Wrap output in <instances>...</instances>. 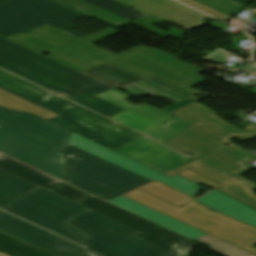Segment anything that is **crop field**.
Listing matches in <instances>:
<instances>
[{
	"instance_id": "44",
	"label": "crop field",
	"mask_w": 256,
	"mask_h": 256,
	"mask_svg": "<svg viewBox=\"0 0 256 256\" xmlns=\"http://www.w3.org/2000/svg\"><path fill=\"white\" fill-rule=\"evenodd\" d=\"M255 16H256V12H255V14H254Z\"/></svg>"
},
{
	"instance_id": "34",
	"label": "crop field",
	"mask_w": 256,
	"mask_h": 256,
	"mask_svg": "<svg viewBox=\"0 0 256 256\" xmlns=\"http://www.w3.org/2000/svg\"><path fill=\"white\" fill-rule=\"evenodd\" d=\"M0 240L5 242V243H8L12 246H15V247H17L21 250H24V251H26V252L34 255V256H55L53 254H50L46 251H43V250L37 248V247L29 246V245L11 237V236H8V235H6L2 232H0Z\"/></svg>"
},
{
	"instance_id": "40",
	"label": "crop field",
	"mask_w": 256,
	"mask_h": 256,
	"mask_svg": "<svg viewBox=\"0 0 256 256\" xmlns=\"http://www.w3.org/2000/svg\"><path fill=\"white\" fill-rule=\"evenodd\" d=\"M254 125L250 124L249 126H247L244 131H248V132H254L256 133V127H253Z\"/></svg>"
},
{
	"instance_id": "32",
	"label": "crop field",
	"mask_w": 256,
	"mask_h": 256,
	"mask_svg": "<svg viewBox=\"0 0 256 256\" xmlns=\"http://www.w3.org/2000/svg\"><path fill=\"white\" fill-rule=\"evenodd\" d=\"M226 15L244 7L245 5L234 0H195Z\"/></svg>"
},
{
	"instance_id": "4",
	"label": "crop field",
	"mask_w": 256,
	"mask_h": 256,
	"mask_svg": "<svg viewBox=\"0 0 256 256\" xmlns=\"http://www.w3.org/2000/svg\"><path fill=\"white\" fill-rule=\"evenodd\" d=\"M0 152L65 181L67 131L36 116L0 108Z\"/></svg>"
},
{
	"instance_id": "12",
	"label": "crop field",
	"mask_w": 256,
	"mask_h": 256,
	"mask_svg": "<svg viewBox=\"0 0 256 256\" xmlns=\"http://www.w3.org/2000/svg\"><path fill=\"white\" fill-rule=\"evenodd\" d=\"M85 74L133 95H154L167 99L174 103L173 105L163 109L168 112L174 111L198 100L193 96L175 89L161 81L153 78L143 80L109 64L103 65Z\"/></svg>"
},
{
	"instance_id": "8",
	"label": "crop field",
	"mask_w": 256,
	"mask_h": 256,
	"mask_svg": "<svg viewBox=\"0 0 256 256\" xmlns=\"http://www.w3.org/2000/svg\"><path fill=\"white\" fill-rule=\"evenodd\" d=\"M70 224L86 234L85 248L103 256H174L134 238L137 231L91 210Z\"/></svg>"
},
{
	"instance_id": "26",
	"label": "crop field",
	"mask_w": 256,
	"mask_h": 256,
	"mask_svg": "<svg viewBox=\"0 0 256 256\" xmlns=\"http://www.w3.org/2000/svg\"><path fill=\"white\" fill-rule=\"evenodd\" d=\"M190 157H187L173 149H170L142 164L166 174L184 164Z\"/></svg>"
},
{
	"instance_id": "17",
	"label": "crop field",
	"mask_w": 256,
	"mask_h": 256,
	"mask_svg": "<svg viewBox=\"0 0 256 256\" xmlns=\"http://www.w3.org/2000/svg\"><path fill=\"white\" fill-rule=\"evenodd\" d=\"M196 201L247 224L256 226V211L215 190Z\"/></svg>"
},
{
	"instance_id": "41",
	"label": "crop field",
	"mask_w": 256,
	"mask_h": 256,
	"mask_svg": "<svg viewBox=\"0 0 256 256\" xmlns=\"http://www.w3.org/2000/svg\"><path fill=\"white\" fill-rule=\"evenodd\" d=\"M83 250L88 254V256H101V255H99V254H97L95 252L89 251L87 249L83 248Z\"/></svg>"
},
{
	"instance_id": "15",
	"label": "crop field",
	"mask_w": 256,
	"mask_h": 256,
	"mask_svg": "<svg viewBox=\"0 0 256 256\" xmlns=\"http://www.w3.org/2000/svg\"><path fill=\"white\" fill-rule=\"evenodd\" d=\"M161 21L174 22L188 30L207 24L209 17L171 0H116Z\"/></svg>"
},
{
	"instance_id": "22",
	"label": "crop field",
	"mask_w": 256,
	"mask_h": 256,
	"mask_svg": "<svg viewBox=\"0 0 256 256\" xmlns=\"http://www.w3.org/2000/svg\"><path fill=\"white\" fill-rule=\"evenodd\" d=\"M67 8H73L75 12L85 15L86 17H93L112 26L120 28L130 22L119 18L109 12H106L98 7H95L82 0H53Z\"/></svg>"
},
{
	"instance_id": "19",
	"label": "crop field",
	"mask_w": 256,
	"mask_h": 256,
	"mask_svg": "<svg viewBox=\"0 0 256 256\" xmlns=\"http://www.w3.org/2000/svg\"><path fill=\"white\" fill-rule=\"evenodd\" d=\"M127 96L128 95H126L122 92H119L116 89L111 92L98 95V97H100L102 99H105L109 102L119 105V106H121L137 115H140L146 119H149L157 124H159L166 118L172 116L171 114H168L162 110H159V109L149 106L147 104L133 105V104L125 101L126 99L129 98Z\"/></svg>"
},
{
	"instance_id": "30",
	"label": "crop field",
	"mask_w": 256,
	"mask_h": 256,
	"mask_svg": "<svg viewBox=\"0 0 256 256\" xmlns=\"http://www.w3.org/2000/svg\"><path fill=\"white\" fill-rule=\"evenodd\" d=\"M187 168H191V169H193V170H195V171H197V172H199V173H201V174H203V175H205V176H207V177H209L213 180H216V181H218L222 184H224V183L233 179L229 176H226V175H224V174H222V173H220L216 170H213V169L199 163L197 160H195L191 163H188V164H186V165H184V166H182V167H180V168H178V169H176V170H174V171H172V172H170L166 175L171 177L174 174H176V173H178L182 170H185Z\"/></svg>"
},
{
	"instance_id": "21",
	"label": "crop field",
	"mask_w": 256,
	"mask_h": 256,
	"mask_svg": "<svg viewBox=\"0 0 256 256\" xmlns=\"http://www.w3.org/2000/svg\"><path fill=\"white\" fill-rule=\"evenodd\" d=\"M168 149L170 148L142 136L135 141L129 143L128 145L122 147L121 149L117 150V152L139 163H142Z\"/></svg>"
},
{
	"instance_id": "5",
	"label": "crop field",
	"mask_w": 256,
	"mask_h": 256,
	"mask_svg": "<svg viewBox=\"0 0 256 256\" xmlns=\"http://www.w3.org/2000/svg\"><path fill=\"white\" fill-rule=\"evenodd\" d=\"M0 87L61 116L49 121L63 126L111 150H117L141 135L92 113L42 88L0 70ZM111 122L114 126H108Z\"/></svg>"
},
{
	"instance_id": "37",
	"label": "crop field",
	"mask_w": 256,
	"mask_h": 256,
	"mask_svg": "<svg viewBox=\"0 0 256 256\" xmlns=\"http://www.w3.org/2000/svg\"><path fill=\"white\" fill-rule=\"evenodd\" d=\"M180 1L186 3V4L190 5V6H193V7L197 8V9H200V10H202V11H204V12H206V13L214 16V17L222 19L224 21H226V20L231 18V17L226 16V15L220 13V12H217V11L211 9V8H208V7H206V6L202 5V4H199V3H197V2H195L193 0H180Z\"/></svg>"
},
{
	"instance_id": "3",
	"label": "crop field",
	"mask_w": 256,
	"mask_h": 256,
	"mask_svg": "<svg viewBox=\"0 0 256 256\" xmlns=\"http://www.w3.org/2000/svg\"><path fill=\"white\" fill-rule=\"evenodd\" d=\"M0 67L107 117L125 110L95 96L114 88L2 38Z\"/></svg>"
},
{
	"instance_id": "13",
	"label": "crop field",
	"mask_w": 256,
	"mask_h": 256,
	"mask_svg": "<svg viewBox=\"0 0 256 256\" xmlns=\"http://www.w3.org/2000/svg\"><path fill=\"white\" fill-rule=\"evenodd\" d=\"M69 143L73 144L74 146L96 156L103 160H106L110 163H113L117 166H120L124 169H127L131 172L139 174L143 177H146L150 180L159 179L173 187H176L190 195L198 192L196 191L198 187L209 191L208 189L195 184L179 175H174L173 177L169 178L155 170H152L142 164L134 162L116 152H113L101 145H98L86 138H83L73 132H70Z\"/></svg>"
},
{
	"instance_id": "31",
	"label": "crop field",
	"mask_w": 256,
	"mask_h": 256,
	"mask_svg": "<svg viewBox=\"0 0 256 256\" xmlns=\"http://www.w3.org/2000/svg\"><path fill=\"white\" fill-rule=\"evenodd\" d=\"M199 241L213 247L212 249L225 255V256H254L250 253L237 249L215 237L207 235L198 239Z\"/></svg>"
},
{
	"instance_id": "9",
	"label": "crop field",
	"mask_w": 256,
	"mask_h": 256,
	"mask_svg": "<svg viewBox=\"0 0 256 256\" xmlns=\"http://www.w3.org/2000/svg\"><path fill=\"white\" fill-rule=\"evenodd\" d=\"M4 210L80 245L84 239L80 231L66 223L87 209L41 187L14 201Z\"/></svg>"
},
{
	"instance_id": "39",
	"label": "crop field",
	"mask_w": 256,
	"mask_h": 256,
	"mask_svg": "<svg viewBox=\"0 0 256 256\" xmlns=\"http://www.w3.org/2000/svg\"><path fill=\"white\" fill-rule=\"evenodd\" d=\"M240 69L256 71V67L252 63H249V62H247L246 66H241Z\"/></svg>"
},
{
	"instance_id": "29",
	"label": "crop field",
	"mask_w": 256,
	"mask_h": 256,
	"mask_svg": "<svg viewBox=\"0 0 256 256\" xmlns=\"http://www.w3.org/2000/svg\"><path fill=\"white\" fill-rule=\"evenodd\" d=\"M111 119L142 133L157 125L129 111H125Z\"/></svg>"
},
{
	"instance_id": "38",
	"label": "crop field",
	"mask_w": 256,
	"mask_h": 256,
	"mask_svg": "<svg viewBox=\"0 0 256 256\" xmlns=\"http://www.w3.org/2000/svg\"><path fill=\"white\" fill-rule=\"evenodd\" d=\"M0 252H4L10 256H32L24 251H21L1 241H0Z\"/></svg>"
},
{
	"instance_id": "16",
	"label": "crop field",
	"mask_w": 256,
	"mask_h": 256,
	"mask_svg": "<svg viewBox=\"0 0 256 256\" xmlns=\"http://www.w3.org/2000/svg\"><path fill=\"white\" fill-rule=\"evenodd\" d=\"M108 202L120 206L126 210H129L139 216H142L148 220H151L159 225H162L168 229H171L179 234H182L188 238L198 239L207 234L185 224L171 217H168L158 211L150 209L146 206L133 202L124 197H117Z\"/></svg>"
},
{
	"instance_id": "25",
	"label": "crop field",
	"mask_w": 256,
	"mask_h": 256,
	"mask_svg": "<svg viewBox=\"0 0 256 256\" xmlns=\"http://www.w3.org/2000/svg\"><path fill=\"white\" fill-rule=\"evenodd\" d=\"M256 189V185L241 177L218 190L254 209H256V195L252 192Z\"/></svg>"
},
{
	"instance_id": "1",
	"label": "crop field",
	"mask_w": 256,
	"mask_h": 256,
	"mask_svg": "<svg viewBox=\"0 0 256 256\" xmlns=\"http://www.w3.org/2000/svg\"><path fill=\"white\" fill-rule=\"evenodd\" d=\"M120 33L111 28L79 40L49 25L7 38L32 51L51 52L47 56L80 72L110 62L143 78L154 76L192 95L200 92L190 88L206 81L197 74L203 72L168 54L151 48H137L118 56L92 44Z\"/></svg>"
},
{
	"instance_id": "7",
	"label": "crop field",
	"mask_w": 256,
	"mask_h": 256,
	"mask_svg": "<svg viewBox=\"0 0 256 256\" xmlns=\"http://www.w3.org/2000/svg\"><path fill=\"white\" fill-rule=\"evenodd\" d=\"M68 182L105 200L115 198L141 185L152 182L127 170L119 168L73 146H66ZM76 155L81 159L69 158Z\"/></svg>"
},
{
	"instance_id": "35",
	"label": "crop field",
	"mask_w": 256,
	"mask_h": 256,
	"mask_svg": "<svg viewBox=\"0 0 256 256\" xmlns=\"http://www.w3.org/2000/svg\"><path fill=\"white\" fill-rule=\"evenodd\" d=\"M53 192L76 203V204H78L81 200H83L86 197V195H84L66 185L60 187L59 189H57Z\"/></svg>"
},
{
	"instance_id": "11",
	"label": "crop field",
	"mask_w": 256,
	"mask_h": 256,
	"mask_svg": "<svg viewBox=\"0 0 256 256\" xmlns=\"http://www.w3.org/2000/svg\"><path fill=\"white\" fill-rule=\"evenodd\" d=\"M82 205L139 231L140 233L134 237L176 256H188V252L193 247L199 245L192 240L175 234L131 212L114 207L96 197L91 196Z\"/></svg>"
},
{
	"instance_id": "18",
	"label": "crop field",
	"mask_w": 256,
	"mask_h": 256,
	"mask_svg": "<svg viewBox=\"0 0 256 256\" xmlns=\"http://www.w3.org/2000/svg\"><path fill=\"white\" fill-rule=\"evenodd\" d=\"M0 167L48 190L63 184L2 154H0Z\"/></svg>"
},
{
	"instance_id": "42",
	"label": "crop field",
	"mask_w": 256,
	"mask_h": 256,
	"mask_svg": "<svg viewBox=\"0 0 256 256\" xmlns=\"http://www.w3.org/2000/svg\"><path fill=\"white\" fill-rule=\"evenodd\" d=\"M0 256H8V255H6V254H4V253H0Z\"/></svg>"
},
{
	"instance_id": "10",
	"label": "crop field",
	"mask_w": 256,
	"mask_h": 256,
	"mask_svg": "<svg viewBox=\"0 0 256 256\" xmlns=\"http://www.w3.org/2000/svg\"><path fill=\"white\" fill-rule=\"evenodd\" d=\"M81 16L50 0H10L0 5V36L7 38L49 24L82 39L86 36L68 24Z\"/></svg>"
},
{
	"instance_id": "43",
	"label": "crop field",
	"mask_w": 256,
	"mask_h": 256,
	"mask_svg": "<svg viewBox=\"0 0 256 256\" xmlns=\"http://www.w3.org/2000/svg\"><path fill=\"white\" fill-rule=\"evenodd\" d=\"M5 1H7V0H0V3L5 2Z\"/></svg>"
},
{
	"instance_id": "33",
	"label": "crop field",
	"mask_w": 256,
	"mask_h": 256,
	"mask_svg": "<svg viewBox=\"0 0 256 256\" xmlns=\"http://www.w3.org/2000/svg\"><path fill=\"white\" fill-rule=\"evenodd\" d=\"M138 21L141 22V24L138 23L137 21L134 22V23H132V24L136 25L135 23H138V24H140V25H139V26L136 25V26H138V27H140V28H142V29H144V30H147V31H149V32H151V33H153V34L159 36V37L163 36L162 33H160V32H164V31H162V30H160V29H158V28H156V27H154V26H151V23H157V24H159V23H161V21H159V20H157V19H154V18H152V17H150V16H146V17H144V18H142V19H140V20H138ZM145 24L147 25V26H145V27H147V28H149V29H151V30H153V31H156V32L154 33V32H152V31H150V30L144 28V25H145ZM178 31L181 32V33H178ZM164 33L169 34V35H172V36H174V37H176V38L182 40L183 31H181V30H179V29H176V28H174V27H172L170 30H168V31H166V32H164Z\"/></svg>"
},
{
	"instance_id": "20",
	"label": "crop field",
	"mask_w": 256,
	"mask_h": 256,
	"mask_svg": "<svg viewBox=\"0 0 256 256\" xmlns=\"http://www.w3.org/2000/svg\"><path fill=\"white\" fill-rule=\"evenodd\" d=\"M36 186L0 168V208Z\"/></svg>"
},
{
	"instance_id": "36",
	"label": "crop field",
	"mask_w": 256,
	"mask_h": 256,
	"mask_svg": "<svg viewBox=\"0 0 256 256\" xmlns=\"http://www.w3.org/2000/svg\"><path fill=\"white\" fill-rule=\"evenodd\" d=\"M178 174H180V175H182V176H184V177H186V178H188V179H190V180H192L196 183L202 182V183L207 184L209 186H212L214 188H216L220 185V184H218V183H216V182H214V181H212V180H210V179H208V178H206V177H204V176H202V175H200V174H198V173H196V172H194L190 169H187V170H185L183 172H180Z\"/></svg>"
},
{
	"instance_id": "14",
	"label": "crop field",
	"mask_w": 256,
	"mask_h": 256,
	"mask_svg": "<svg viewBox=\"0 0 256 256\" xmlns=\"http://www.w3.org/2000/svg\"><path fill=\"white\" fill-rule=\"evenodd\" d=\"M0 231L57 256L80 255V250L75 244L3 211L0 212Z\"/></svg>"
},
{
	"instance_id": "23",
	"label": "crop field",
	"mask_w": 256,
	"mask_h": 256,
	"mask_svg": "<svg viewBox=\"0 0 256 256\" xmlns=\"http://www.w3.org/2000/svg\"><path fill=\"white\" fill-rule=\"evenodd\" d=\"M0 106L3 108L12 109V110L30 112L36 116H39L47 120L52 117L58 116L57 114L49 110H46L36 104H33L1 88H0Z\"/></svg>"
},
{
	"instance_id": "45",
	"label": "crop field",
	"mask_w": 256,
	"mask_h": 256,
	"mask_svg": "<svg viewBox=\"0 0 256 256\" xmlns=\"http://www.w3.org/2000/svg\"><path fill=\"white\" fill-rule=\"evenodd\" d=\"M255 117H256V115H255Z\"/></svg>"
},
{
	"instance_id": "27",
	"label": "crop field",
	"mask_w": 256,
	"mask_h": 256,
	"mask_svg": "<svg viewBox=\"0 0 256 256\" xmlns=\"http://www.w3.org/2000/svg\"><path fill=\"white\" fill-rule=\"evenodd\" d=\"M172 119H175V121L167 127H165L164 129H161L162 126L166 125ZM191 124L192 123L182 120L176 116H172L144 134L164 143L173 136H175L176 134H178L179 132H181L182 130H184L185 128H187L188 126H190Z\"/></svg>"
},
{
	"instance_id": "6",
	"label": "crop field",
	"mask_w": 256,
	"mask_h": 256,
	"mask_svg": "<svg viewBox=\"0 0 256 256\" xmlns=\"http://www.w3.org/2000/svg\"><path fill=\"white\" fill-rule=\"evenodd\" d=\"M122 196L158 210L256 255V247L252 246L256 243V227L242 223L220 212H211L208 207L196 201L186 204L181 209L138 189Z\"/></svg>"
},
{
	"instance_id": "2",
	"label": "crop field",
	"mask_w": 256,
	"mask_h": 256,
	"mask_svg": "<svg viewBox=\"0 0 256 256\" xmlns=\"http://www.w3.org/2000/svg\"><path fill=\"white\" fill-rule=\"evenodd\" d=\"M172 114L194 124L164 144L179 151L187 150L201 162L233 177L251 167L245 163L254 156L228 139L235 136L247 141L256 134L242 131L198 102Z\"/></svg>"
},
{
	"instance_id": "24",
	"label": "crop field",
	"mask_w": 256,
	"mask_h": 256,
	"mask_svg": "<svg viewBox=\"0 0 256 256\" xmlns=\"http://www.w3.org/2000/svg\"><path fill=\"white\" fill-rule=\"evenodd\" d=\"M138 189L147 192L153 196H156L160 199H163L169 203H172L178 207L194 200V197H191L175 188H172L158 180L139 187Z\"/></svg>"
},
{
	"instance_id": "28",
	"label": "crop field",
	"mask_w": 256,
	"mask_h": 256,
	"mask_svg": "<svg viewBox=\"0 0 256 256\" xmlns=\"http://www.w3.org/2000/svg\"><path fill=\"white\" fill-rule=\"evenodd\" d=\"M95 6H98L106 11H109L119 17H122L126 20L134 18L135 20H132L130 22H134L144 16L145 14L136 11L130 7H127L119 2H116L114 0H85ZM129 21V20H128Z\"/></svg>"
}]
</instances>
